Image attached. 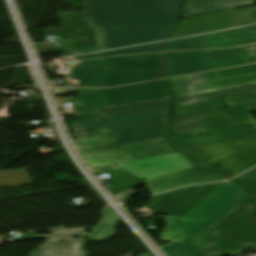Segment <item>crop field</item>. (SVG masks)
<instances>
[{
	"label": "crop field",
	"instance_id": "obj_27",
	"mask_svg": "<svg viewBox=\"0 0 256 256\" xmlns=\"http://www.w3.org/2000/svg\"><path fill=\"white\" fill-rule=\"evenodd\" d=\"M167 256H209L192 243H171L160 247Z\"/></svg>",
	"mask_w": 256,
	"mask_h": 256
},
{
	"label": "crop field",
	"instance_id": "obj_32",
	"mask_svg": "<svg viewBox=\"0 0 256 256\" xmlns=\"http://www.w3.org/2000/svg\"><path fill=\"white\" fill-rule=\"evenodd\" d=\"M251 63L256 62V45L244 47Z\"/></svg>",
	"mask_w": 256,
	"mask_h": 256
},
{
	"label": "crop field",
	"instance_id": "obj_18",
	"mask_svg": "<svg viewBox=\"0 0 256 256\" xmlns=\"http://www.w3.org/2000/svg\"><path fill=\"white\" fill-rule=\"evenodd\" d=\"M253 5V0H188L183 6L181 19Z\"/></svg>",
	"mask_w": 256,
	"mask_h": 256
},
{
	"label": "crop field",
	"instance_id": "obj_1",
	"mask_svg": "<svg viewBox=\"0 0 256 256\" xmlns=\"http://www.w3.org/2000/svg\"><path fill=\"white\" fill-rule=\"evenodd\" d=\"M183 0H84L85 20L97 46L61 57L165 40L177 24Z\"/></svg>",
	"mask_w": 256,
	"mask_h": 256
},
{
	"label": "crop field",
	"instance_id": "obj_31",
	"mask_svg": "<svg viewBox=\"0 0 256 256\" xmlns=\"http://www.w3.org/2000/svg\"><path fill=\"white\" fill-rule=\"evenodd\" d=\"M102 215L103 218L101 219V221L108 222L114 226L121 221L110 208H104L102 211Z\"/></svg>",
	"mask_w": 256,
	"mask_h": 256
},
{
	"label": "crop field",
	"instance_id": "obj_3",
	"mask_svg": "<svg viewBox=\"0 0 256 256\" xmlns=\"http://www.w3.org/2000/svg\"><path fill=\"white\" fill-rule=\"evenodd\" d=\"M249 196L233 181L225 183L185 219L165 217L168 222L161 239L187 242Z\"/></svg>",
	"mask_w": 256,
	"mask_h": 256
},
{
	"label": "crop field",
	"instance_id": "obj_15",
	"mask_svg": "<svg viewBox=\"0 0 256 256\" xmlns=\"http://www.w3.org/2000/svg\"><path fill=\"white\" fill-rule=\"evenodd\" d=\"M256 42V26L170 41L165 51L235 47Z\"/></svg>",
	"mask_w": 256,
	"mask_h": 256
},
{
	"label": "crop field",
	"instance_id": "obj_29",
	"mask_svg": "<svg viewBox=\"0 0 256 256\" xmlns=\"http://www.w3.org/2000/svg\"><path fill=\"white\" fill-rule=\"evenodd\" d=\"M234 180L238 181L240 184L250 190V192L255 196L256 203V168Z\"/></svg>",
	"mask_w": 256,
	"mask_h": 256
},
{
	"label": "crop field",
	"instance_id": "obj_4",
	"mask_svg": "<svg viewBox=\"0 0 256 256\" xmlns=\"http://www.w3.org/2000/svg\"><path fill=\"white\" fill-rule=\"evenodd\" d=\"M164 80L83 93L76 96V112L96 110L169 97Z\"/></svg>",
	"mask_w": 256,
	"mask_h": 256
},
{
	"label": "crop field",
	"instance_id": "obj_14",
	"mask_svg": "<svg viewBox=\"0 0 256 256\" xmlns=\"http://www.w3.org/2000/svg\"><path fill=\"white\" fill-rule=\"evenodd\" d=\"M246 245L256 248V209L251 204L230 221L223 234L220 249L229 256L245 251Z\"/></svg>",
	"mask_w": 256,
	"mask_h": 256
},
{
	"label": "crop field",
	"instance_id": "obj_38",
	"mask_svg": "<svg viewBox=\"0 0 256 256\" xmlns=\"http://www.w3.org/2000/svg\"><path fill=\"white\" fill-rule=\"evenodd\" d=\"M161 195H158V196H155L151 199V201L149 202V206L150 208H152V206L155 204V202L158 200V198L160 197Z\"/></svg>",
	"mask_w": 256,
	"mask_h": 256
},
{
	"label": "crop field",
	"instance_id": "obj_35",
	"mask_svg": "<svg viewBox=\"0 0 256 256\" xmlns=\"http://www.w3.org/2000/svg\"><path fill=\"white\" fill-rule=\"evenodd\" d=\"M117 169H119L117 166L112 165L107 167L96 168V169H93L92 171L97 172V171H107V170H117Z\"/></svg>",
	"mask_w": 256,
	"mask_h": 256
},
{
	"label": "crop field",
	"instance_id": "obj_37",
	"mask_svg": "<svg viewBox=\"0 0 256 256\" xmlns=\"http://www.w3.org/2000/svg\"><path fill=\"white\" fill-rule=\"evenodd\" d=\"M101 89H74L75 92L82 93V92H88V91H97Z\"/></svg>",
	"mask_w": 256,
	"mask_h": 256
},
{
	"label": "crop field",
	"instance_id": "obj_20",
	"mask_svg": "<svg viewBox=\"0 0 256 256\" xmlns=\"http://www.w3.org/2000/svg\"><path fill=\"white\" fill-rule=\"evenodd\" d=\"M250 201L251 199L245 200L242 204L225 214L223 217H221L219 220H217L215 223L210 225L208 228H206L204 231L189 241L210 256H222V254L217 249V242L221 232L223 231L224 225L233 217V215L240 207L248 204Z\"/></svg>",
	"mask_w": 256,
	"mask_h": 256
},
{
	"label": "crop field",
	"instance_id": "obj_24",
	"mask_svg": "<svg viewBox=\"0 0 256 256\" xmlns=\"http://www.w3.org/2000/svg\"><path fill=\"white\" fill-rule=\"evenodd\" d=\"M92 229L93 228L58 229L49 231L52 233V235L49 236H35V232H28L29 235H23L22 240L46 238L47 241H45L44 244L59 241H81L87 235V231ZM74 236L81 238L76 240Z\"/></svg>",
	"mask_w": 256,
	"mask_h": 256
},
{
	"label": "crop field",
	"instance_id": "obj_7",
	"mask_svg": "<svg viewBox=\"0 0 256 256\" xmlns=\"http://www.w3.org/2000/svg\"><path fill=\"white\" fill-rule=\"evenodd\" d=\"M256 103L172 118L167 134L206 128L208 132L253 120Z\"/></svg>",
	"mask_w": 256,
	"mask_h": 256
},
{
	"label": "crop field",
	"instance_id": "obj_25",
	"mask_svg": "<svg viewBox=\"0 0 256 256\" xmlns=\"http://www.w3.org/2000/svg\"><path fill=\"white\" fill-rule=\"evenodd\" d=\"M171 102H172V98L158 100V101H152V102H147V103H141V104H135V105H129V106H124V107L106 109L105 113L103 115V118L117 116V115L137 113V112H143V111H149V110H155V109H161V108H167V107L171 106Z\"/></svg>",
	"mask_w": 256,
	"mask_h": 256
},
{
	"label": "crop field",
	"instance_id": "obj_39",
	"mask_svg": "<svg viewBox=\"0 0 256 256\" xmlns=\"http://www.w3.org/2000/svg\"><path fill=\"white\" fill-rule=\"evenodd\" d=\"M7 236H0V244H2V242L4 241V239L6 238Z\"/></svg>",
	"mask_w": 256,
	"mask_h": 256
},
{
	"label": "crop field",
	"instance_id": "obj_6",
	"mask_svg": "<svg viewBox=\"0 0 256 256\" xmlns=\"http://www.w3.org/2000/svg\"><path fill=\"white\" fill-rule=\"evenodd\" d=\"M174 95L256 82V64L168 80Z\"/></svg>",
	"mask_w": 256,
	"mask_h": 256
},
{
	"label": "crop field",
	"instance_id": "obj_11",
	"mask_svg": "<svg viewBox=\"0 0 256 256\" xmlns=\"http://www.w3.org/2000/svg\"><path fill=\"white\" fill-rule=\"evenodd\" d=\"M117 166L148 183L194 168L190 161L177 152L117 164Z\"/></svg>",
	"mask_w": 256,
	"mask_h": 256
},
{
	"label": "crop field",
	"instance_id": "obj_40",
	"mask_svg": "<svg viewBox=\"0 0 256 256\" xmlns=\"http://www.w3.org/2000/svg\"><path fill=\"white\" fill-rule=\"evenodd\" d=\"M140 256H151L149 253L147 254H143V255H140Z\"/></svg>",
	"mask_w": 256,
	"mask_h": 256
},
{
	"label": "crop field",
	"instance_id": "obj_2",
	"mask_svg": "<svg viewBox=\"0 0 256 256\" xmlns=\"http://www.w3.org/2000/svg\"><path fill=\"white\" fill-rule=\"evenodd\" d=\"M73 67L66 85L108 87L164 78L162 54L114 57Z\"/></svg>",
	"mask_w": 256,
	"mask_h": 256
},
{
	"label": "crop field",
	"instance_id": "obj_17",
	"mask_svg": "<svg viewBox=\"0 0 256 256\" xmlns=\"http://www.w3.org/2000/svg\"><path fill=\"white\" fill-rule=\"evenodd\" d=\"M225 179L226 178L220 174L194 168L148 185L153 194H156L186 185L200 184L209 181H223Z\"/></svg>",
	"mask_w": 256,
	"mask_h": 256
},
{
	"label": "crop field",
	"instance_id": "obj_21",
	"mask_svg": "<svg viewBox=\"0 0 256 256\" xmlns=\"http://www.w3.org/2000/svg\"><path fill=\"white\" fill-rule=\"evenodd\" d=\"M254 165H256V148H250L205 166L203 169L218 171L229 177H234Z\"/></svg>",
	"mask_w": 256,
	"mask_h": 256
},
{
	"label": "crop field",
	"instance_id": "obj_10",
	"mask_svg": "<svg viewBox=\"0 0 256 256\" xmlns=\"http://www.w3.org/2000/svg\"><path fill=\"white\" fill-rule=\"evenodd\" d=\"M253 13H256V8L250 7L183 19L180 21L178 29L168 39L192 36L253 24L256 23V18H252Z\"/></svg>",
	"mask_w": 256,
	"mask_h": 256
},
{
	"label": "crop field",
	"instance_id": "obj_12",
	"mask_svg": "<svg viewBox=\"0 0 256 256\" xmlns=\"http://www.w3.org/2000/svg\"><path fill=\"white\" fill-rule=\"evenodd\" d=\"M223 184L201 185L162 194L153 209L165 215L186 217Z\"/></svg>",
	"mask_w": 256,
	"mask_h": 256
},
{
	"label": "crop field",
	"instance_id": "obj_19",
	"mask_svg": "<svg viewBox=\"0 0 256 256\" xmlns=\"http://www.w3.org/2000/svg\"><path fill=\"white\" fill-rule=\"evenodd\" d=\"M169 114H170V108H167V109L126 115L123 117H111L106 119L75 123V124L69 125V127L74 129L73 131L79 132V131H85V130H92V129H98V128H105V127L165 118V117H169Z\"/></svg>",
	"mask_w": 256,
	"mask_h": 256
},
{
	"label": "crop field",
	"instance_id": "obj_28",
	"mask_svg": "<svg viewBox=\"0 0 256 256\" xmlns=\"http://www.w3.org/2000/svg\"><path fill=\"white\" fill-rule=\"evenodd\" d=\"M104 227H101L103 226ZM117 230L114 226L101 222L94 230H92L86 237L89 240L82 241H107L115 236Z\"/></svg>",
	"mask_w": 256,
	"mask_h": 256
},
{
	"label": "crop field",
	"instance_id": "obj_16",
	"mask_svg": "<svg viewBox=\"0 0 256 256\" xmlns=\"http://www.w3.org/2000/svg\"><path fill=\"white\" fill-rule=\"evenodd\" d=\"M249 147H256V136L220 144L181 150V152L186 154L198 167H203Z\"/></svg>",
	"mask_w": 256,
	"mask_h": 256
},
{
	"label": "crop field",
	"instance_id": "obj_8",
	"mask_svg": "<svg viewBox=\"0 0 256 256\" xmlns=\"http://www.w3.org/2000/svg\"><path fill=\"white\" fill-rule=\"evenodd\" d=\"M243 47L166 60L167 77L248 64Z\"/></svg>",
	"mask_w": 256,
	"mask_h": 256
},
{
	"label": "crop field",
	"instance_id": "obj_26",
	"mask_svg": "<svg viewBox=\"0 0 256 256\" xmlns=\"http://www.w3.org/2000/svg\"><path fill=\"white\" fill-rule=\"evenodd\" d=\"M162 44H163V42L149 44V45H143V46H137V47H132V48H126V49H120V50H114V51H108V52L97 53V54L79 56L74 59L82 60V59L96 58V57H101V56H113V55H118V54H136V53L157 52V51H161Z\"/></svg>",
	"mask_w": 256,
	"mask_h": 256
},
{
	"label": "crop field",
	"instance_id": "obj_34",
	"mask_svg": "<svg viewBox=\"0 0 256 256\" xmlns=\"http://www.w3.org/2000/svg\"><path fill=\"white\" fill-rule=\"evenodd\" d=\"M209 51H215V50H209ZM209 51L181 52V53H165V56H166V59H168V58H174V57L192 55V54L203 53V52H209Z\"/></svg>",
	"mask_w": 256,
	"mask_h": 256
},
{
	"label": "crop field",
	"instance_id": "obj_9",
	"mask_svg": "<svg viewBox=\"0 0 256 256\" xmlns=\"http://www.w3.org/2000/svg\"><path fill=\"white\" fill-rule=\"evenodd\" d=\"M164 137L81 154L89 167L107 166L173 152Z\"/></svg>",
	"mask_w": 256,
	"mask_h": 256
},
{
	"label": "crop field",
	"instance_id": "obj_33",
	"mask_svg": "<svg viewBox=\"0 0 256 256\" xmlns=\"http://www.w3.org/2000/svg\"><path fill=\"white\" fill-rule=\"evenodd\" d=\"M137 192L129 190L126 192H123L121 194L115 195V197L120 201V202H125L128 199H130L132 196H134Z\"/></svg>",
	"mask_w": 256,
	"mask_h": 256
},
{
	"label": "crop field",
	"instance_id": "obj_30",
	"mask_svg": "<svg viewBox=\"0 0 256 256\" xmlns=\"http://www.w3.org/2000/svg\"><path fill=\"white\" fill-rule=\"evenodd\" d=\"M224 100L227 107L246 104V103H252V102H256V94L227 98Z\"/></svg>",
	"mask_w": 256,
	"mask_h": 256
},
{
	"label": "crop field",
	"instance_id": "obj_13",
	"mask_svg": "<svg viewBox=\"0 0 256 256\" xmlns=\"http://www.w3.org/2000/svg\"><path fill=\"white\" fill-rule=\"evenodd\" d=\"M256 135V121L208 133L206 129L167 135L177 150L220 143Z\"/></svg>",
	"mask_w": 256,
	"mask_h": 256
},
{
	"label": "crop field",
	"instance_id": "obj_5",
	"mask_svg": "<svg viewBox=\"0 0 256 256\" xmlns=\"http://www.w3.org/2000/svg\"><path fill=\"white\" fill-rule=\"evenodd\" d=\"M168 118L105 128L104 135L74 141L80 153L163 136Z\"/></svg>",
	"mask_w": 256,
	"mask_h": 256
},
{
	"label": "crop field",
	"instance_id": "obj_23",
	"mask_svg": "<svg viewBox=\"0 0 256 256\" xmlns=\"http://www.w3.org/2000/svg\"><path fill=\"white\" fill-rule=\"evenodd\" d=\"M84 242H59L38 246L30 256H88L83 252Z\"/></svg>",
	"mask_w": 256,
	"mask_h": 256
},
{
	"label": "crop field",
	"instance_id": "obj_36",
	"mask_svg": "<svg viewBox=\"0 0 256 256\" xmlns=\"http://www.w3.org/2000/svg\"><path fill=\"white\" fill-rule=\"evenodd\" d=\"M68 91H69V88L67 87L54 89L55 96L60 94H68Z\"/></svg>",
	"mask_w": 256,
	"mask_h": 256
},
{
	"label": "crop field",
	"instance_id": "obj_22",
	"mask_svg": "<svg viewBox=\"0 0 256 256\" xmlns=\"http://www.w3.org/2000/svg\"><path fill=\"white\" fill-rule=\"evenodd\" d=\"M250 93H256V84L255 85H248V86H241L235 88H229L214 92H208L198 95H190V96H182L178 97L175 100L176 105H187L207 100L219 99V98H227L239 95H245Z\"/></svg>",
	"mask_w": 256,
	"mask_h": 256
}]
</instances>
